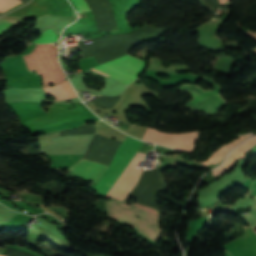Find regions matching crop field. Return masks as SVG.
I'll list each match as a JSON object with an SVG mask.
<instances>
[{
  "label": "crop field",
  "mask_w": 256,
  "mask_h": 256,
  "mask_svg": "<svg viewBox=\"0 0 256 256\" xmlns=\"http://www.w3.org/2000/svg\"><path fill=\"white\" fill-rule=\"evenodd\" d=\"M14 22H16V21H12V20H2V19H0V29H2V28L6 27V26H8V25H10V24H12V23H14ZM20 22H22V21H18V22H16V23H14V24H12V25H10V26H8V27H6V28L0 30V34L3 33V32H5V31H7V30H9L10 28L14 27L15 25H17V24L20 23Z\"/></svg>",
  "instance_id": "15"
},
{
  "label": "crop field",
  "mask_w": 256,
  "mask_h": 256,
  "mask_svg": "<svg viewBox=\"0 0 256 256\" xmlns=\"http://www.w3.org/2000/svg\"><path fill=\"white\" fill-rule=\"evenodd\" d=\"M254 134H251V135H247V136H244L240 139H236L234 140L232 143L230 144H227L225 146H223L222 149L214 152L211 156H210V159H208L207 161L203 162L205 165H208V164H218L225 156V154L230 151L232 148H234L236 145H238L240 142H242L243 140H245L246 138L252 136Z\"/></svg>",
  "instance_id": "11"
},
{
  "label": "crop field",
  "mask_w": 256,
  "mask_h": 256,
  "mask_svg": "<svg viewBox=\"0 0 256 256\" xmlns=\"http://www.w3.org/2000/svg\"><path fill=\"white\" fill-rule=\"evenodd\" d=\"M0 256H4V255H1V254H0Z\"/></svg>",
  "instance_id": "18"
},
{
  "label": "crop field",
  "mask_w": 256,
  "mask_h": 256,
  "mask_svg": "<svg viewBox=\"0 0 256 256\" xmlns=\"http://www.w3.org/2000/svg\"><path fill=\"white\" fill-rule=\"evenodd\" d=\"M202 79L214 86L215 89L212 91H204L198 86L186 84L176 87L175 89L180 92H189L195 98L185 106L193 110L205 111L206 115H209L226 103L224 99L218 95L220 86L213 81L214 79L206 76H204Z\"/></svg>",
  "instance_id": "3"
},
{
  "label": "crop field",
  "mask_w": 256,
  "mask_h": 256,
  "mask_svg": "<svg viewBox=\"0 0 256 256\" xmlns=\"http://www.w3.org/2000/svg\"><path fill=\"white\" fill-rule=\"evenodd\" d=\"M107 168V166L81 160L68 170L78 177L98 183Z\"/></svg>",
  "instance_id": "8"
},
{
  "label": "crop field",
  "mask_w": 256,
  "mask_h": 256,
  "mask_svg": "<svg viewBox=\"0 0 256 256\" xmlns=\"http://www.w3.org/2000/svg\"><path fill=\"white\" fill-rule=\"evenodd\" d=\"M44 89L47 95L55 96L57 101L76 97V94L70 86L68 80Z\"/></svg>",
  "instance_id": "10"
},
{
  "label": "crop field",
  "mask_w": 256,
  "mask_h": 256,
  "mask_svg": "<svg viewBox=\"0 0 256 256\" xmlns=\"http://www.w3.org/2000/svg\"><path fill=\"white\" fill-rule=\"evenodd\" d=\"M79 12L90 11L84 0H72Z\"/></svg>",
  "instance_id": "16"
},
{
  "label": "crop field",
  "mask_w": 256,
  "mask_h": 256,
  "mask_svg": "<svg viewBox=\"0 0 256 256\" xmlns=\"http://www.w3.org/2000/svg\"><path fill=\"white\" fill-rule=\"evenodd\" d=\"M198 139V131L183 134L160 133L153 128H148L143 140L163 144L169 147L192 152L194 141Z\"/></svg>",
  "instance_id": "6"
},
{
  "label": "crop field",
  "mask_w": 256,
  "mask_h": 256,
  "mask_svg": "<svg viewBox=\"0 0 256 256\" xmlns=\"http://www.w3.org/2000/svg\"><path fill=\"white\" fill-rule=\"evenodd\" d=\"M250 226H256V198H254L252 212L244 219Z\"/></svg>",
  "instance_id": "13"
},
{
  "label": "crop field",
  "mask_w": 256,
  "mask_h": 256,
  "mask_svg": "<svg viewBox=\"0 0 256 256\" xmlns=\"http://www.w3.org/2000/svg\"><path fill=\"white\" fill-rule=\"evenodd\" d=\"M162 189H167V187L160 169L146 170L140 177L137 187L129 196L134 197L136 203L153 207L159 212H162L155 201V195Z\"/></svg>",
  "instance_id": "5"
},
{
  "label": "crop field",
  "mask_w": 256,
  "mask_h": 256,
  "mask_svg": "<svg viewBox=\"0 0 256 256\" xmlns=\"http://www.w3.org/2000/svg\"><path fill=\"white\" fill-rule=\"evenodd\" d=\"M254 145H256V137L252 138L248 142L241 145L239 148H237L235 151H233L227 158L226 163L219 169L213 171V174L215 176L227 171L231 166H233V163L237 161L242 155H244L250 148H252Z\"/></svg>",
  "instance_id": "9"
},
{
  "label": "crop field",
  "mask_w": 256,
  "mask_h": 256,
  "mask_svg": "<svg viewBox=\"0 0 256 256\" xmlns=\"http://www.w3.org/2000/svg\"><path fill=\"white\" fill-rule=\"evenodd\" d=\"M227 0H220L221 4H223L224 2H226Z\"/></svg>",
  "instance_id": "17"
},
{
  "label": "crop field",
  "mask_w": 256,
  "mask_h": 256,
  "mask_svg": "<svg viewBox=\"0 0 256 256\" xmlns=\"http://www.w3.org/2000/svg\"><path fill=\"white\" fill-rule=\"evenodd\" d=\"M56 40V34L52 30H47L39 35V37L34 41L37 44L49 43Z\"/></svg>",
  "instance_id": "12"
},
{
  "label": "crop field",
  "mask_w": 256,
  "mask_h": 256,
  "mask_svg": "<svg viewBox=\"0 0 256 256\" xmlns=\"http://www.w3.org/2000/svg\"><path fill=\"white\" fill-rule=\"evenodd\" d=\"M142 143L143 141L127 136L125 142L119 147L106 174L93 188L97 192L98 196L106 197L107 193L129 164ZM144 155V153L137 152L113 188L110 190L107 197L123 200L127 196L130 190L135 186L141 172L143 171V169L136 166Z\"/></svg>",
  "instance_id": "1"
},
{
  "label": "crop field",
  "mask_w": 256,
  "mask_h": 256,
  "mask_svg": "<svg viewBox=\"0 0 256 256\" xmlns=\"http://www.w3.org/2000/svg\"><path fill=\"white\" fill-rule=\"evenodd\" d=\"M106 209L111 218L134 226L139 233L153 241L157 240L160 230L157 227L158 212L156 210L137 204L125 206L116 201H108ZM134 215H139L142 218L137 219Z\"/></svg>",
  "instance_id": "2"
},
{
  "label": "crop field",
  "mask_w": 256,
  "mask_h": 256,
  "mask_svg": "<svg viewBox=\"0 0 256 256\" xmlns=\"http://www.w3.org/2000/svg\"><path fill=\"white\" fill-rule=\"evenodd\" d=\"M144 66V60L127 55L94 68L109 74L108 77L128 85L140 75ZM94 68L91 69L107 76V74Z\"/></svg>",
  "instance_id": "4"
},
{
  "label": "crop field",
  "mask_w": 256,
  "mask_h": 256,
  "mask_svg": "<svg viewBox=\"0 0 256 256\" xmlns=\"http://www.w3.org/2000/svg\"><path fill=\"white\" fill-rule=\"evenodd\" d=\"M17 0H0V12H3L17 4H19Z\"/></svg>",
  "instance_id": "14"
},
{
  "label": "crop field",
  "mask_w": 256,
  "mask_h": 256,
  "mask_svg": "<svg viewBox=\"0 0 256 256\" xmlns=\"http://www.w3.org/2000/svg\"><path fill=\"white\" fill-rule=\"evenodd\" d=\"M93 135L94 134L55 137V138H52V140L55 145L84 143V142H90ZM88 145L89 143L44 147L40 149V153L42 154H84Z\"/></svg>",
  "instance_id": "7"
}]
</instances>
